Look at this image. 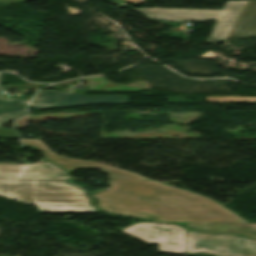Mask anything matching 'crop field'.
Listing matches in <instances>:
<instances>
[{"label": "crop field", "instance_id": "f4fd0767", "mask_svg": "<svg viewBox=\"0 0 256 256\" xmlns=\"http://www.w3.org/2000/svg\"><path fill=\"white\" fill-rule=\"evenodd\" d=\"M150 245L158 242L159 252L186 254V229L174 224L137 223L121 230Z\"/></svg>", "mask_w": 256, "mask_h": 256}, {"label": "crop field", "instance_id": "e52e79f7", "mask_svg": "<svg viewBox=\"0 0 256 256\" xmlns=\"http://www.w3.org/2000/svg\"><path fill=\"white\" fill-rule=\"evenodd\" d=\"M22 144H29L35 148L42 150L45 156L59 167L68 170L69 172L76 169H100L103 173H107L110 179H148L143 176L134 174L130 171L113 168L89 161L71 159L61 157L49 150L40 139H21Z\"/></svg>", "mask_w": 256, "mask_h": 256}, {"label": "crop field", "instance_id": "5142ce71", "mask_svg": "<svg viewBox=\"0 0 256 256\" xmlns=\"http://www.w3.org/2000/svg\"><path fill=\"white\" fill-rule=\"evenodd\" d=\"M21 1H26V0H0L1 5H6V4H12V3H17Z\"/></svg>", "mask_w": 256, "mask_h": 256}, {"label": "crop field", "instance_id": "d9b57169", "mask_svg": "<svg viewBox=\"0 0 256 256\" xmlns=\"http://www.w3.org/2000/svg\"><path fill=\"white\" fill-rule=\"evenodd\" d=\"M145 216H150V217H154V218H157V219H159V217H156V216H152V215H148V214H145ZM148 218V217H147ZM148 219H150V218H148ZM150 220H153V219H150ZM154 221H160V219L159 220H154Z\"/></svg>", "mask_w": 256, "mask_h": 256}, {"label": "crop field", "instance_id": "733c2abd", "mask_svg": "<svg viewBox=\"0 0 256 256\" xmlns=\"http://www.w3.org/2000/svg\"><path fill=\"white\" fill-rule=\"evenodd\" d=\"M128 1H132V2L138 3V2H141V1H143V0H128Z\"/></svg>", "mask_w": 256, "mask_h": 256}, {"label": "crop field", "instance_id": "ac0d7876", "mask_svg": "<svg viewBox=\"0 0 256 256\" xmlns=\"http://www.w3.org/2000/svg\"><path fill=\"white\" fill-rule=\"evenodd\" d=\"M0 195L36 205L40 212L96 211L71 180H0Z\"/></svg>", "mask_w": 256, "mask_h": 256}, {"label": "crop field", "instance_id": "28ad6ade", "mask_svg": "<svg viewBox=\"0 0 256 256\" xmlns=\"http://www.w3.org/2000/svg\"><path fill=\"white\" fill-rule=\"evenodd\" d=\"M27 114V110L25 107L18 108V109H12V110H6L0 112V127L4 124L8 123L12 119ZM0 138H18V133L0 128Z\"/></svg>", "mask_w": 256, "mask_h": 256}, {"label": "crop field", "instance_id": "34b2d1b8", "mask_svg": "<svg viewBox=\"0 0 256 256\" xmlns=\"http://www.w3.org/2000/svg\"><path fill=\"white\" fill-rule=\"evenodd\" d=\"M247 1H227L222 10L207 9H160L138 8V12L153 20L205 21L217 22L207 39V43L217 44L225 41Z\"/></svg>", "mask_w": 256, "mask_h": 256}, {"label": "crop field", "instance_id": "cbeb9de0", "mask_svg": "<svg viewBox=\"0 0 256 256\" xmlns=\"http://www.w3.org/2000/svg\"><path fill=\"white\" fill-rule=\"evenodd\" d=\"M115 181H152V180H111V181H110L111 190H107V191L116 190ZM107 191H101L100 193H102V192H107ZM100 193L94 194V196L97 197V198L99 199V202L101 203L102 200H101V198H100V196H99Z\"/></svg>", "mask_w": 256, "mask_h": 256}, {"label": "crop field", "instance_id": "412701ff", "mask_svg": "<svg viewBox=\"0 0 256 256\" xmlns=\"http://www.w3.org/2000/svg\"><path fill=\"white\" fill-rule=\"evenodd\" d=\"M200 251L217 256H256V240L233 234H202L188 229L187 253Z\"/></svg>", "mask_w": 256, "mask_h": 256}, {"label": "crop field", "instance_id": "22f410ed", "mask_svg": "<svg viewBox=\"0 0 256 256\" xmlns=\"http://www.w3.org/2000/svg\"><path fill=\"white\" fill-rule=\"evenodd\" d=\"M3 84L1 82L0 73V110L18 107L26 104V101L20 99H2Z\"/></svg>", "mask_w": 256, "mask_h": 256}, {"label": "crop field", "instance_id": "8a807250", "mask_svg": "<svg viewBox=\"0 0 256 256\" xmlns=\"http://www.w3.org/2000/svg\"><path fill=\"white\" fill-rule=\"evenodd\" d=\"M117 191L100 194L104 212L163 222H248L213 200L198 194L153 182H116Z\"/></svg>", "mask_w": 256, "mask_h": 256}, {"label": "crop field", "instance_id": "d1516ede", "mask_svg": "<svg viewBox=\"0 0 256 256\" xmlns=\"http://www.w3.org/2000/svg\"><path fill=\"white\" fill-rule=\"evenodd\" d=\"M206 102H256V97H243V96L206 97Z\"/></svg>", "mask_w": 256, "mask_h": 256}, {"label": "crop field", "instance_id": "5a996713", "mask_svg": "<svg viewBox=\"0 0 256 256\" xmlns=\"http://www.w3.org/2000/svg\"><path fill=\"white\" fill-rule=\"evenodd\" d=\"M186 226L201 232H232L256 237V223H187Z\"/></svg>", "mask_w": 256, "mask_h": 256}, {"label": "crop field", "instance_id": "3316defc", "mask_svg": "<svg viewBox=\"0 0 256 256\" xmlns=\"http://www.w3.org/2000/svg\"><path fill=\"white\" fill-rule=\"evenodd\" d=\"M256 37V1H250L230 34V39Z\"/></svg>", "mask_w": 256, "mask_h": 256}, {"label": "crop field", "instance_id": "dd49c442", "mask_svg": "<svg viewBox=\"0 0 256 256\" xmlns=\"http://www.w3.org/2000/svg\"><path fill=\"white\" fill-rule=\"evenodd\" d=\"M127 103V96H84L54 90H38L37 95L28 104L35 109L74 107L88 104Z\"/></svg>", "mask_w": 256, "mask_h": 256}, {"label": "crop field", "instance_id": "d8731c3e", "mask_svg": "<svg viewBox=\"0 0 256 256\" xmlns=\"http://www.w3.org/2000/svg\"><path fill=\"white\" fill-rule=\"evenodd\" d=\"M0 179H72L71 176L43 160L31 165H1Z\"/></svg>", "mask_w": 256, "mask_h": 256}]
</instances>
